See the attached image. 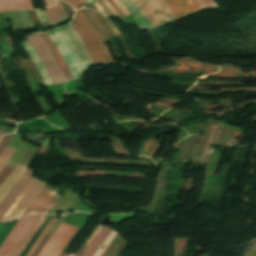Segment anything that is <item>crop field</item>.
<instances>
[{
  "label": "crop field",
  "mask_w": 256,
  "mask_h": 256,
  "mask_svg": "<svg viewBox=\"0 0 256 256\" xmlns=\"http://www.w3.org/2000/svg\"><path fill=\"white\" fill-rule=\"evenodd\" d=\"M17 221L18 219L0 224V246Z\"/></svg>",
  "instance_id": "crop-field-18"
},
{
  "label": "crop field",
  "mask_w": 256,
  "mask_h": 256,
  "mask_svg": "<svg viewBox=\"0 0 256 256\" xmlns=\"http://www.w3.org/2000/svg\"><path fill=\"white\" fill-rule=\"evenodd\" d=\"M104 19L110 24V26L113 28V30L116 32L117 35H119V31L117 28L114 26V24L111 22L108 16L103 15Z\"/></svg>",
  "instance_id": "crop-field-30"
},
{
  "label": "crop field",
  "mask_w": 256,
  "mask_h": 256,
  "mask_svg": "<svg viewBox=\"0 0 256 256\" xmlns=\"http://www.w3.org/2000/svg\"><path fill=\"white\" fill-rule=\"evenodd\" d=\"M57 221V218L52 217L48 225L43 229L41 235L39 236L38 240L35 242V244L32 246V248L29 250V252L26 254V256H32L34 253L36 247L39 245V243L42 241L50 227Z\"/></svg>",
  "instance_id": "crop-field-19"
},
{
  "label": "crop field",
  "mask_w": 256,
  "mask_h": 256,
  "mask_svg": "<svg viewBox=\"0 0 256 256\" xmlns=\"http://www.w3.org/2000/svg\"><path fill=\"white\" fill-rule=\"evenodd\" d=\"M78 228L61 223L49 238L39 256H59Z\"/></svg>",
  "instance_id": "crop-field-6"
},
{
  "label": "crop field",
  "mask_w": 256,
  "mask_h": 256,
  "mask_svg": "<svg viewBox=\"0 0 256 256\" xmlns=\"http://www.w3.org/2000/svg\"><path fill=\"white\" fill-rule=\"evenodd\" d=\"M118 7L119 9L122 11V13L125 15V17L129 16L130 14L127 12V10L125 9V7L120 3L119 0H112Z\"/></svg>",
  "instance_id": "crop-field-27"
},
{
  "label": "crop field",
  "mask_w": 256,
  "mask_h": 256,
  "mask_svg": "<svg viewBox=\"0 0 256 256\" xmlns=\"http://www.w3.org/2000/svg\"><path fill=\"white\" fill-rule=\"evenodd\" d=\"M122 4L126 7L129 13L133 16L137 24L143 27H151V24L138 8V6L132 0H120Z\"/></svg>",
  "instance_id": "crop-field-13"
},
{
  "label": "crop field",
  "mask_w": 256,
  "mask_h": 256,
  "mask_svg": "<svg viewBox=\"0 0 256 256\" xmlns=\"http://www.w3.org/2000/svg\"><path fill=\"white\" fill-rule=\"evenodd\" d=\"M47 214H42L41 217L38 219V221L36 222V224L34 225V227L32 228V230L29 232V234L26 236V238L24 239V241L22 242V244L20 245V247L18 248V250L16 251V253L14 254V256H19L20 253L23 251V249L26 247V245L28 244V242L31 240V238L33 237V235L35 234V232L37 231V229L39 228V226L42 224V222L46 219Z\"/></svg>",
  "instance_id": "crop-field-17"
},
{
  "label": "crop field",
  "mask_w": 256,
  "mask_h": 256,
  "mask_svg": "<svg viewBox=\"0 0 256 256\" xmlns=\"http://www.w3.org/2000/svg\"><path fill=\"white\" fill-rule=\"evenodd\" d=\"M45 186L46 183L32 177L0 221L21 217Z\"/></svg>",
  "instance_id": "crop-field-2"
},
{
  "label": "crop field",
  "mask_w": 256,
  "mask_h": 256,
  "mask_svg": "<svg viewBox=\"0 0 256 256\" xmlns=\"http://www.w3.org/2000/svg\"><path fill=\"white\" fill-rule=\"evenodd\" d=\"M12 137H13V135L3 136V138L0 142V155L5 150L7 144L9 143V141L11 140Z\"/></svg>",
  "instance_id": "crop-field-25"
},
{
  "label": "crop field",
  "mask_w": 256,
  "mask_h": 256,
  "mask_svg": "<svg viewBox=\"0 0 256 256\" xmlns=\"http://www.w3.org/2000/svg\"><path fill=\"white\" fill-rule=\"evenodd\" d=\"M36 11H37L40 21L47 19L46 16L44 15V13L42 12V10H36Z\"/></svg>",
  "instance_id": "crop-field-32"
},
{
  "label": "crop field",
  "mask_w": 256,
  "mask_h": 256,
  "mask_svg": "<svg viewBox=\"0 0 256 256\" xmlns=\"http://www.w3.org/2000/svg\"><path fill=\"white\" fill-rule=\"evenodd\" d=\"M146 15L152 26H158L176 18L164 0H133Z\"/></svg>",
  "instance_id": "crop-field-5"
},
{
  "label": "crop field",
  "mask_w": 256,
  "mask_h": 256,
  "mask_svg": "<svg viewBox=\"0 0 256 256\" xmlns=\"http://www.w3.org/2000/svg\"><path fill=\"white\" fill-rule=\"evenodd\" d=\"M94 3V5L97 7V9L100 11V13H103V14H105V12L101 9V7L97 4V2L95 1V2H93Z\"/></svg>",
  "instance_id": "crop-field-33"
},
{
  "label": "crop field",
  "mask_w": 256,
  "mask_h": 256,
  "mask_svg": "<svg viewBox=\"0 0 256 256\" xmlns=\"http://www.w3.org/2000/svg\"><path fill=\"white\" fill-rule=\"evenodd\" d=\"M61 28L64 31V33H65L66 37L68 38L69 42L71 43V45H72L73 49L75 50L76 54L80 58L81 62L83 63V65L87 69L91 65V62L88 60V58L85 54L84 48H83L78 36L76 35L75 32H73L70 29L69 24L62 26Z\"/></svg>",
  "instance_id": "crop-field-10"
},
{
  "label": "crop field",
  "mask_w": 256,
  "mask_h": 256,
  "mask_svg": "<svg viewBox=\"0 0 256 256\" xmlns=\"http://www.w3.org/2000/svg\"><path fill=\"white\" fill-rule=\"evenodd\" d=\"M28 168V165L19 163L15 171L11 176L6 180V182L0 188V201L4 196L10 191V189L15 185L18 179L22 176L25 170Z\"/></svg>",
  "instance_id": "crop-field-12"
},
{
  "label": "crop field",
  "mask_w": 256,
  "mask_h": 256,
  "mask_svg": "<svg viewBox=\"0 0 256 256\" xmlns=\"http://www.w3.org/2000/svg\"><path fill=\"white\" fill-rule=\"evenodd\" d=\"M63 1H66V2H69V3H70V1H71V3H72V5H73L74 9L77 8L79 5L85 3L84 0H70V1H69V0H63Z\"/></svg>",
  "instance_id": "crop-field-29"
},
{
  "label": "crop field",
  "mask_w": 256,
  "mask_h": 256,
  "mask_svg": "<svg viewBox=\"0 0 256 256\" xmlns=\"http://www.w3.org/2000/svg\"><path fill=\"white\" fill-rule=\"evenodd\" d=\"M101 225H98L97 228L95 229V231L87 238L86 242L84 243V245L81 247V249L78 251V253L75 256H80L81 253L83 252V250L85 249V247L88 245V243L91 241V239L97 234V232L101 229Z\"/></svg>",
  "instance_id": "crop-field-23"
},
{
  "label": "crop field",
  "mask_w": 256,
  "mask_h": 256,
  "mask_svg": "<svg viewBox=\"0 0 256 256\" xmlns=\"http://www.w3.org/2000/svg\"><path fill=\"white\" fill-rule=\"evenodd\" d=\"M49 235H46V237L43 239V241L40 243V245L37 247L35 253L33 254V256H38L39 252L41 251L42 247L44 246V244L46 243L47 239L49 238ZM49 240V239H48Z\"/></svg>",
  "instance_id": "crop-field-28"
},
{
  "label": "crop field",
  "mask_w": 256,
  "mask_h": 256,
  "mask_svg": "<svg viewBox=\"0 0 256 256\" xmlns=\"http://www.w3.org/2000/svg\"><path fill=\"white\" fill-rule=\"evenodd\" d=\"M44 2L46 7L56 4V0H44ZM32 8H34L32 0H0V11Z\"/></svg>",
  "instance_id": "crop-field-11"
},
{
  "label": "crop field",
  "mask_w": 256,
  "mask_h": 256,
  "mask_svg": "<svg viewBox=\"0 0 256 256\" xmlns=\"http://www.w3.org/2000/svg\"><path fill=\"white\" fill-rule=\"evenodd\" d=\"M56 193L57 192L44 188V190L39 194V196L35 199V201L31 204L23 216L45 211Z\"/></svg>",
  "instance_id": "crop-field-9"
},
{
  "label": "crop field",
  "mask_w": 256,
  "mask_h": 256,
  "mask_svg": "<svg viewBox=\"0 0 256 256\" xmlns=\"http://www.w3.org/2000/svg\"><path fill=\"white\" fill-rule=\"evenodd\" d=\"M15 167L5 166L0 172V185ZM11 174V173H10ZM7 179V178H6Z\"/></svg>",
  "instance_id": "crop-field-24"
},
{
  "label": "crop field",
  "mask_w": 256,
  "mask_h": 256,
  "mask_svg": "<svg viewBox=\"0 0 256 256\" xmlns=\"http://www.w3.org/2000/svg\"><path fill=\"white\" fill-rule=\"evenodd\" d=\"M62 196L60 195H56V197L53 199L52 203L50 204V206L47 208V210L45 211L46 213H49L53 207L57 204V202L60 200Z\"/></svg>",
  "instance_id": "crop-field-26"
},
{
  "label": "crop field",
  "mask_w": 256,
  "mask_h": 256,
  "mask_svg": "<svg viewBox=\"0 0 256 256\" xmlns=\"http://www.w3.org/2000/svg\"><path fill=\"white\" fill-rule=\"evenodd\" d=\"M27 39L36 51V53L38 54V56L40 57L53 84L65 81L66 79L58 63L56 62L54 56L45 45L40 34L31 35Z\"/></svg>",
  "instance_id": "crop-field-3"
},
{
  "label": "crop field",
  "mask_w": 256,
  "mask_h": 256,
  "mask_svg": "<svg viewBox=\"0 0 256 256\" xmlns=\"http://www.w3.org/2000/svg\"><path fill=\"white\" fill-rule=\"evenodd\" d=\"M34 172L27 169L25 174L21 177V179L16 183V185L12 188V190L5 196V198L0 202V218L30 180L31 176Z\"/></svg>",
  "instance_id": "crop-field-7"
},
{
  "label": "crop field",
  "mask_w": 256,
  "mask_h": 256,
  "mask_svg": "<svg viewBox=\"0 0 256 256\" xmlns=\"http://www.w3.org/2000/svg\"><path fill=\"white\" fill-rule=\"evenodd\" d=\"M196 5L199 7L200 10L207 8V7H216V3L213 0H193Z\"/></svg>",
  "instance_id": "crop-field-21"
},
{
  "label": "crop field",
  "mask_w": 256,
  "mask_h": 256,
  "mask_svg": "<svg viewBox=\"0 0 256 256\" xmlns=\"http://www.w3.org/2000/svg\"><path fill=\"white\" fill-rule=\"evenodd\" d=\"M63 256H68L67 254H64Z\"/></svg>",
  "instance_id": "crop-field-36"
},
{
  "label": "crop field",
  "mask_w": 256,
  "mask_h": 256,
  "mask_svg": "<svg viewBox=\"0 0 256 256\" xmlns=\"http://www.w3.org/2000/svg\"><path fill=\"white\" fill-rule=\"evenodd\" d=\"M82 11L84 12V14L87 16V18L90 20V22L93 24V26L95 27V29L98 31V33L102 36L103 40L107 43L110 42L106 36L103 34V32L100 30V28L98 27V25L95 23V21L92 19V17L89 15V13L86 11V9H82Z\"/></svg>",
  "instance_id": "crop-field-22"
},
{
  "label": "crop field",
  "mask_w": 256,
  "mask_h": 256,
  "mask_svg": "<svg viewBox=\"0 0 256 256\" xmlns=\"http://www.w3.org/2000/svg\"><path fill=\"white\" fill-rule=\"evenodd\" d=\"M111 231L112 229L103 226L95 238L89 243L81 256H92Z\"/></svg>",
  "instance_id": "crop-field-14"
},
{
  "label": "crop field",
  "mask_w": 256,
  "mask_h": 256,
  "mask_svg": "<svg viewBox=\"0 0 256 256\" xmlns=\"http://www.w3.org/2000/svg\"><path fill=\"white\" fill-rule=\"evenodd\" d=\"M58 3H59V1H58ZM44 12H45L51 25H59L61 23L68 21V19H69L66 16L60 3H59V5L54 6L50 9H47Z\"/></svg>",
  "instance_id": "crop-field-15"
},
{
  "label": "crop field",
  "mask_w": 256,
  "mask_h": 256,
  "mask_svg": "<svg viewBox=\"0 0 256 256\" xmlns=\"http://www.w3.org/2000/svg\"><path fill=\"white\" fill-rule=\"evenodd\" d=\"M1 135H2V132H0V137H1Z\"/></svg>",
  "instance_id": "crop-field-35"
},
{
  "label": "crop field",
  "mask_w": 256,
  "mask_h": 256,
  "mask_svg": "<svg viewBox=\"0 0 256 256\" xmlns=\"http://www.w3.org/2000/svg\"><path fill=\"white\" fill-rule=\"evenodd\" d=\"M41 214L22 218L9 233L0 247V256H12Z\"/></svg>",
  "instance_id": "crop-field-4"
},
{
  "label": "crop field",
  "mask_w": 256,
  "mask_h": 256,
  "mask_svg": "<svg viewBox=\"0 0 256 256\" xmlns=\"http://www.w3.org/2000/svg\"><path fill=\"white\" fill-rule=\"evenodd\" d=\"M41 36L43 37L45 43L47 44V46L49 47V49L51 50V52L55 56L56 60L58 61V63L60 65L62 71L64 72L67 80L73 79V76H72L71 72L69 71L68 67L66 66V64H65L64 60L62 59L61 55L59 54L58 50L54 46V44H53L52 40L50 39L48 33H43V34H41Z\"/></svg>",
  "instance_id": "crop-field-16"
},
{
  "label": "crop field",
  "mask_w": 256,
  "mask_h": 256,
  "mask_svg": "<svg viewBox=\"0 0 256 256\" xmlns=\"http://www.w3.org/2000/svg\"><path fill=\"white\" fill-rule=\"evenodd\" d=\"M14 151V148L7 147L6 150L2 153L0 156V171Z\"/></svg>",
  "instance_id": "crop-field-20"
},
{
  "label": "crop field",
  "mask_w": 256,
  "mask_h": 256,
  "mask_svg": "<svg viewBox=\"0 0 256 256\" xmlns=\"http://www.w3.org/2000/svg\"><path fill=\"white\" fill-rule=\"evenodd\" d=\"M171 11L178 19L199 11L198 7L192 0H165Z\"/></svg>",
  "instance_id": "crop-field-8"
},
{
  "label": "crop field",
  "mask_w": 256,
  "mask_h": 256,
  "mask_svg": "<svg viewBox=\"0 0 256 256\" xmlns=\"http://www.w3.org/2000/svg\"><path fill=\"white\" fill-rule=\"evenodd\" d=\"M71 27L82 39L93 64L114 62L107 45L80 9L76 11Z\"/></svg>",
  "instance_id": "crop-field-1"
},
{
  "label": "crop field",
  "mask_w": 256,
  "mask_h": 256,
  "mask_svg": "<svg viewBox=\"0 0 256 256\" xmlns=\"http://www.w3.org/2000/svg\"><path fill=\"white\" fill-rule=\"evenodd\" d=\"M105 2V4L108 6V8L111 10V12L113 13V15L119 16V14L112 8V6L109 4V2L107 0H103Z\"/></svg>",
  "instance_id": "crop-field-31"
},
{
  "label": "crop field",
  "mask_w": 256,
  "mask_h": 256,
  "mask_svg": "<svg viewBox=\"0 0 256 256\" xmlns=\"http://www.w3.org/2000/svg\"><path fill=\"white\" fill-rule=\"evenodd\" d=\"M91 1H94V0H85L86 3H89V2H91Z\"/></svg>",
  "instance_id": "crop-field-34"
}]
</instances>
